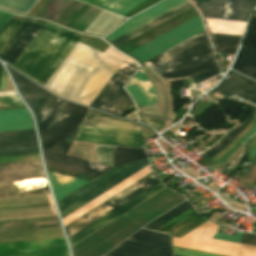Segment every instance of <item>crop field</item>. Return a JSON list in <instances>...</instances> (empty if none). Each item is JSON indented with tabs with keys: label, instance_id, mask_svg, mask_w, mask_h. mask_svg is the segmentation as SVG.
<instances>
[{
	"label": "crop field",
	"instance_id": "obj_9",
	"mask_svg": "<svg viewBox=\"0 0 256 256\" xmlns=\"http://www.w3.org/2000/svg\"><path fill=\"white\" fill-rule=\"evenodd\" d=\"M202 30L201 21L196 17L129 54L143 63Z\"/></svg>",
	"mask_w": 256,
	"mask_h": 256
},
{
	"label": "crop field",
	"instance_id": "obj_17",
	"mask_svg": "<svg viewBox=\"0 0 256 256\" xmlns=\"http://www.w3.org/2000/svg\"><path fill=\"white\" fill-rule=\"evenodd\" d=\"M185 1L187 0H165L145 12L129 19L105 38L111 41Z\"/></svg>",
	"mask_w": 256,
	"mask_h": 256
},
{
	"label": "crop field",
	"instance_id": "obj_20",
	"mask_svg": "<svg viewBox=\"0 0 256 256\" xmlns=\"http://www.w3.org/2000/svg\"><path fill=\"white\" fill-rule=\"evenodd\" d=\"M141 108L152 106L157 99L156 92L147 78L140 69L132 81L126 87Z\"/></svg>",
	"mask_w": 256,
	"mask_h": 256
},
{
	"label": "crop field",
	"instance_id": "obj_5",
	"mask_svg": "<svg viewBox=\"0 0 256 256\" xmlns=\"http://www.w3.org/2000/svg\"><path fill=\"white\" fill-rule=\"evenodd\" d=\"M64 237L61 228L0 233V242ZM0 256H69L64 238L0 243Z\"/></svg>",
	"mask_w": 256,
	"mask_h": 256
},
{
	"label": "crop field",
	"instance_id": "obj_59",
	"mask_svg": "<svg viewBox=\"0 0 256 256\" xmlns=\"http://www.w3.org/2000/svg\"><path fill=\"white\" fill-rule=\"evenodd\" d=\"M233 130H234V129H233ZM233 130H232V131H233ZM225 137H226V136H225ZM225 137H224V138H225ZM219 142H220V141H219Z\"/></svg>",
	"mask_w": 256,
	"mask_h": 256
},
{
	"label": "crop field",
	"instance_id": "obj_2",
	"mask_svg": "<svg viewBox=\"0 0 256 256\" xmlns=\"http://www.w3.org/2000/svg\"><path fill=\"white\" fill-rule=\"evenodd\" d=\"M42 149L66 155L87 108L52 96L39 88L31 106Z\"/></svg>",
	"mask_w": 256,
	"mask_h": 256
},
{
	"label": "crop field",
	"instance_id": "obj_35",
	"mask_svg": "<svg viewBox=\"0 0 256 256\" xmlns=\"http://www.w3.org/2000/svg\"><path fill=\"white\" fill-rule=\"evenodd\" d=\"M204 222L205 220L197 214L179 226H175L176 228L172 229V236L180 238Z\"/></svg>",
	"mask_w": 256,
	"mask_h": 256
},
{
	"label": "crop field",
	"instance_id": "obj_38",
	"mask_svg": "<svg viewBox=\"0 0 256 256\" xmlns=\"http://www.w3.org/2000/svg\"><path fill=\"white\" fill-rule=\"evenodd\" d=\"M96 162L112 166V146L96 144Z\"/></svg>",
	"mask_w": 256,
	"mask_h": 256
},
{
	"label": "crop field",
	"instance_id": "obj_19",
	"mask_svg": "<svg viewBox=\"0 0 256 256\" xmlns=\"http://www.w3.org/2000/svg\"><path fill=\"white\" fill-rule=\"evenodd\" d=\"M82 5L75 0H50L38 16L66 25Z\"/></svg>",
	"mask_w": 256,
	"mask_h": 256
},
{
	"label": "crop field",
	"instance_id": "obj_45",
	"mask_svg": "<svg viewBox=\"0 0 256 256\" xmlns=\"http://www.w3.org/2000/svg\"><path fill=\"white\" fill-rule=\"evenodd\" d=\"M132 237H137V238H142V239H147V240H152V241H157V242H162V243L169 244L168 236L153 233V232H148V231H144V230H141L138 233L132 235Z\"/></svg>",
	"mask_w": 256,
	"mask_h": 256
},
{
	"label": "crop field",
	"instance_id": "obj_12",
	"mask_svg": "<svg viewBox=\"0 0 256 256\" xmlns=\"http://www.w3.org/2000/svg\"><path fill=\"white\" fill-rule=\"evenodd\" d=\"M140 138L136 131L83 126L76 140L141 147Z\"/></svg>",
	"mask_w": 256,
	"mask_h": 256
},
{
	"label": "crop field",
	"instance_id": "obj_40",
	"mask_svg": "<svg viewBox=\"0 0 256 256\" xmlns=\"http://www.w3.org/2000/svg\"><path fill=\"white\" fill-rule=\"evenodd\" d=\"M21 22L10 20L6 27L0 33V50L8 41V39L12 36V34L16 31V29L20 26Z\"/></svg>",
	"mask_w": 256,
	"mask_h": 256
},
{
	"label": "crop field",
	"instance_id": "obj_49",
	"mask_svg": "<svg viewBox=\"0 0 256 256\" xmlns=\"http://www.w3.org/2000/svg\"><path fill=\"white\" fill-rule=\"evenodd\" d=\"M22 104L17 96L11 97H0V106H7V105H18Z\"/></svg>",
	"mask_w": 256,
	"mask_h": 256
},
{
	"label": "crop field",
	"instance_id": "obj_28",
	"mask_svg": "<svg viewBox=\"0 0 256 256\" xmlns=\"http://www.w3.org/2000/svg\"><path fill=\"white\" fill-rule=\"evenodd\" d=\"M43 156L46 159H50V160H54V161H58V162H62V163H66V164H70V165H74V166H78V167H82V168H86V169H90V170H94V171H98V172H106L107 170H109L111 167L110 166H106V165H102V164H98V163H94V162H89V161H85V160H81V159H76V158H72V157H68V156H63V155H59V154H55V153H51V152H47V151H43Z\"/></svg>",
	"mask_w": 256,
	"mask_h": 256
},
{
	"label": "crop field",
	"instance_id": "obj_43",
	"mask_svg": "<svg viewBox=\"0 0 256 256\" xmlns=\"http://www.w3.org/2000/svg\"><path fill=\"white\" fill-rule=\"evenodd\" d=\"M256 132V124L254 125L253 129L233 148L231 149L227 154H225L222 158H220L217 162H215L212 166H210V169H215L216 167H218L219 165L223 164L225 161H227L234 153H236L242 143L251 135H253Z\"/></svg>",
	"mask_w": 256,
	"mask_h": 256
},
{
	"label": "crop field",
	"instance_id": "obj_48",
	"mask_svg": "<svg viewBox=\"0 0 256 256\" xmlns=\"http://www.w3.org/2000/svg\"><path fill=\"white\" fill-rule=\"evenodd\" d=\"M173 251H174V254L181 255V256H218V255L207 254V253L191 251V250L175 248V247H173Z\"/></svg>",
	"mask_w": 256,
	"mask_h": 256
},
{
	"label": "crop field",
	"instance_id": "obj_26",
	"mask_svg": "<svg viewBox=\"0 0 256 256\" xmlns=\"http://www.w3.org/2000/svg\"><path fill=\"white\" fill-rule=\"evenodd\" d=\"M118 118H115L111 115H107L104 113H100L97 111H93L91 110L84 125H88V126H95L98 124H102L111 120H115ZM98 127H108V128H117V129H126V130H136V131H140V128L138 125L129 123L127 121L118 119L115 121H111L102 125H98Z\"/></svg>",
	"mask_w": 256,
	"mask_h": 256
},
{
	"label": "crop field",
	"instance_id": "obj_16",
	"mask_svg": "<svg viewBox=\"0 0 256 256\" xmlns=\"http://www.w3.org/2000/svg\"><path fill=\"white\" fill-rule=\"evenodd\" d=\"M163 188L164 187L160 182L157 183L156 185L152 186L151 188H149L145 192L141 193L140 195H138L134 199L130 200L129 202H127L123 206L119 207L118 209H116L115 211L110 213L109 215L105 216L104 218H102L98 222L94 223L93 225H91L87 229L83 230L82 232H80L76 236L69 239L70 246H73L74 244L78 243L82 239L86 238L87 236H89L93 232H95L98 229H100L101 227L105 226L106 224H108L112 220H114L117 217H119L120 215L124 214L125 212H127L131 208L135 207L139 203L143 202L144 200H146L150 196L154 195L158 191L162 190Z\"/></svg>",
	"mask_w": 256,
	"mask_h": 256
},
{
	"label": "crop field",
	"instance_id": "obj_61",
	"mask_svg": "<svg viewBox=\"0 0 256 256\" xmlns=\"http://www.w3.org/2000/svg\"><path fill=\"white\" fill-rule=\"evenodd\" d=\"M174 256H176V255H174Z\"/></svg>",
	"mask_w": 256,
	"mask_h": 256
},
{
	"label": "crop field",
	"instance_id": "obj_7",
	"mask_svg": "<svg viewBox=\"0 0 256 256\" xmlns=\"http://www.w3.org/2000/svg\"><path fill=\"white\" fill-rule=\"evenodd\" d=\"M218 226L205 222L180 239L173 238V245L227 256H256V247L211 239Z\"/></svg>",
	"mask_w": 256,
	"mask_h": 256
},
{
	"label": "crop field",
	"instance_id": "obj_53",
	"mask_svg": "<svg viewBox=\"0 0 256 256\" xmlns=\"http://www.w3.org/2000/svg\"><path fill=\"white\" fill-rule=\"evenodd\" d=\"M209 93H211V94H213V95H215V96H217L221 99L233 96V95H231V94H229V93H227V92H225V91H223V90H221L217 87L214 90L210 91Z\"/></svg>",
	"mask_w": 256,
	"mask_h": 256
},
{
	"label": "crop field",
	"instance_id": "obj_47",
	"mask_svg": "<svg viewBox=\"0 0 256 256\" xmlns=\"http://www.w3.org/2000/svg\"><path fill=\"white\" fill-rule=\"evenodd\" d=\"M218 74V70H217V66L209 69L208 71L200 74L199 76L195 77L194 80L196 82V84H199L200 82L214 76V75H217ZM191 82L193 84V86H195V83L193 81V79H191Z\"/></svg>",
	"mask_w": 256,
	"mask_h": 256
},
{
	"label": "crop field",
	"instance_id": "obj_42",
	"mask_svg": "<svg viewBox=\"0 0 256 256\" xmlns=\"http://www.w3.org/2000/svg\"><path fill=\"white\" fill-rule=\"evenodd\" d=\"M45 164L48 166H52V167H56V168H60L68 171H73V172H77V173H81V174H85L93 177H97L101 175V173H97V172H93V171H89V170H85V169H81V168H77V167H73V166H69V165H65V164H61V163H57L49 160H45Z\"/></svg>",
	"mask_w": 256,
	"mask_h": 256
},
{
	"label": "crop field",
	"instance_id": "obj_51",
	"mask_svg": "<svg viewBox=\"0 0 256 256\" xmlns=\"http://www.w3.org/2000/svg\"><path fill=\"white\" fill-rule=\"evenodd\" d=\"M241 234H242L241 232H237L236 236L232 237V236L224 235L217 232L213 238L237 243Z\"/></svg>",
	"mask_w": 256,
	"mask_h": 256
},
{
	"label": "crop field",
	"instance_id": "obj_52",
	"mask_svg": "<svg viewBox=\"0 0 256 256\" xmlns=\"http://www.w3.org/2000/svg\"><path fill=\"white\" fill-rule=\"evenodd\" d=\"M13 14L5 13L0 11V31L5 26L10 18H12Z\"/></svg>",
	"mask_w": 256,
	"mask_h": 256
},
{
	"label": "crop field",
	"instance_id": "obj_32",
	"mask_svg": "<svg viewBox=\"0 0 256 256\" xmlns=\"http://www.w3.org/2000/svg\"><path fill=\"white\" fill-rule=\"evenodd\" d=\"M219 53L234 54L241 36L211 33Z\"/></svg>",
	"mask_w": 256,
	"mask_h": 256
},
{
	"label": "crop field",
	"instance_id": "obj_27",
	"mask_svg": "<svg viewBox=\"0 0 256 256\" xmlns=\"http://www.w3.org/2000/svg\"><path fill=\"white\" fill-rule=\"evenodd\" d=\"M104 10L125 15L144 0H79Z\"/></svg>",
	"mask_w": 256,
	"mask_h": 256
},
{
	"label": "crop field",
	"instance_id": "obj_21",
	"mask_svg": "<svg viewBox=\"0 0 256 256\" xmlns=\"http://www.w3.org/2000/svg\"><path fill=\"white\" fill-rule=\"evenodd\" d=\"M190 7H192V6L187 1V2L173 8L172 10L158 16L157 18L141 25L140 27L126 33L125 35H123V36H121V37H119V38H117V39H115L111 42H113V43H115L116 45L119 46V45L131 40L132 38L142 34L143 32L155 27L156 25L168 20L169 18L179 14L180 12H182V11H184V10L190 8Z\"/></svg>",
	"mask_w": 256,
	"mask_h": 256
},
{
	"label": "crop field",
	"instance_id": "obj_50",
	"mask_svg": "<svg viewBox=\"0 0 256 256\" xmlns=\"http://www.w3.org/2000/svg\"><path fill=\"white\" fill-rule=\"evenodd\" d=\"M238 243L256 246V235H250V234L243 233Z\"/></svg>",
	"mask_w": 256,
	"mask_h": 256
},
{
	"label": "crop field",
	"instance_id": "obj_36",
	"mask_svg": "<svg viewBox=\"0 0 256 256\" xmlns=\"http://www.w3.org/2000/svg\"><path fill=\"white\" fill-rule=\"evenodd\" d=\"M37 0H0V7L27 13Z\"/></svg>",
	"mask_w": 256,
	"mask_h": 256
},
{
	"label": "crop field",
	"instance_id": "obj_3",
	"mask_svg": "<svg viewBox=\"0 0 256 256\" xmlns=\"http://www.w3.org/2000/svg\"><path fill=\"white\" fill-rule=\"evenodd\" d=\"M81 36L47 22L12 67L43 86Z\"/></svg>",
	"mask_w": 256,
	"mask_h": 256
},
{
	"label": "crop field",
	"instance_id": "obj_4",
	"mask_svg": "<svg viewBox=\"0 0 256 256\" xmlns=\"http://www.w3.org/2000/svg\"><path fill=\"white\" fill-rule=\"evenodd\" d=\"M143 65L174 82L190 79L217 63L202 32Z\"/></svg>",
	"mask_w": 256,
	"mask_h": 256
},
{
	"label": "crop field",
	"instance_id": "obj_29",
	"mask_svg": "<svg viewBox=\"0 0 256 256\" xmlns=\"http://www.w3.org/2000/svg\"><path fill=\"white\" fill-rule=\"evenodd\" d=\"M99 11L100 9L84 4L76 15L69 21L67 26L76 30L84 31Z\"/></svg>",
	"mask_w": 256,
	"mask_h": 256
},
{
	"label": "crop field",
	"instance_id": "obj_46",
	"mask_svg": "<svg viewBox=\"0 0 256 256\" xmlns=\"http://www.w3.org/2000/svg\"><path fill=\"white\" fill-rule=\"evenodd\" d=\"M35 160H41L39 154L0 157V163H12V162H23V161H35Z\"/></svg>",
	"mask_w": 256,
	"mask_h": 256
},
{
	"label": "crop field",
	"instance_id": "obj_8",
	"mask_svg": "<svg viewBox=\"0 0 256 256\" xmlns=\"http://www.w3.org/2000/svg\"><path fill=\"white\" fill-rule=\"evenodd\" d=\"M159 182L154 174H150L144 179L140 180L136 184L132 185L128 189L124 190L123 192L119 193L115 197L111 198L107 202L103 203L99 207L95 208L94 210L90 211L86 215L82 216L78 220L74 221L70 225L66 226V232L68 238L72 237L73 235L77 234L81 230L85 229L92 223L96 222L103 216L107 215L111 211L115 210L122 204L126 203L133 197L137 196L141 192L145 191L152 185Z\"/></svg>",
	"mask_w": 256,
	"mask_h": 256
},
{
	"label": "crop field",
	"instance_id": "obj_55",
	"mask_svg": "<svg viewBox=\"0 0 256 256\" xmlns=\"http://www.w3.org/2000/svg\"><path fill=\"white\" fill-rule=\"evenodd\" d=\"M256 145V136L246 145L247 153Z\"/></svg>",
	"mask_w": 256,
	"mask_h": 256
},
{
	"label": "crop field",
	"instance_id": "obj_31",
	"mask_svg": "<svg viewBox=\"0 0 256 256\" xmlns=\"http://www.w3.org/2000/svg\"><path fill=\"white\" fill-rule=\"evenodd\" d=\"M114 166L145 158L143 149L113 146Z\"/></svg>",
	"mask_w": 256,
	"mask_h": 256
},
{
	"label": "crop field",
	"instance_id": "obj_23",
	"mask_svg": "<svg viewBox=\"0 0 256 256\" xmlns=\"http://www.w3.org/2000/svg\"><path fill=\"white\" fill-rule=\"evenodd\" d=\"M32 128L25 109L0 111V131Z\"/></svg>",
	"mask_w": 256,
	"mask_h": 256
},
{
	"label": "crop field",
	"instance_id": "obj_56",
	"mask_svg": "<svg viewBox=\"0 0 256 256\" xmlns=\"http://www.w3.org/2000/svg\"><path fill=\"white\" fill-rule=\"evenodd\" d=\"M16 95L15 91L0 92V96H11Z\"/></svg>",
	"mask_w": 256,
	"mask_h": 256
},
{
	"label": "crop field",
	"instance_id": "obj_30",
	"mask_svg": "<svg viewBox=\"0 0 256 256\" xmlns=\"http://www.w3.org/2000/svg\"><path fill=\"white\" fill-rule=\"evenodd\" d=\"M7 68L10 71L22 98L24 99V101L26 102V104L29 107L33 98H34V96H35V94H36V92H37V90H38V88H39V86L32 83L31 81H29L25 77L15 73L9 67H7Z\"/></svg>",
	"mask_w": 256,
	"mask_h": 256
},
{
	"label": "crop field",
	"instance_id": "obj_11",
	"mask_svg": "<svg viewBox=\"0 0 256 256\" xmlns=\"http://www.w3.org/2000/svg\"><path fill=\"white\" fill-rule=\"evenodd\" d=\"M209 1V0H195ZM197 2L204 18L247 22L256 0H210Z\"/></svg>",
	"mask_w": 256,
	"mask_h": 256
},
{
	"label": "crop field",
	"instance_id": "obj_54",
	"mask_svg": "<svg viewBox=\"0 0 256 256\" xmlns=\"http://www.w3.org/2000/svg\"><path fill=\"white\" fill-rule=\"evenodd\" d=\"M6 78H7V74L4 71V69H2V74H1V79H0V91L4 90V88H5Z\"/></svg>",
	"mask_w": 256,
	"mask_h": 256
},
{
	"label": "crop field",
	"instance_id": "obj_60",
	"mask_svg": "<svg viewBox=\"0 0 256 256\" xmlns=\"http://www.w3.org/2000/svg\"><path fill=\"white\" fill-rule=\"evenodd\" d=\"M254 158H256V156Z\"/></svg>",
	"mask_w": 256,
	"mask_h": 256
},
{
	"label": "crop field",
	"instance_id": "obj_41",
	"mask_svg": "<svg viewBox=\"0 0 256 256\" xmlns=\"http://www.w3.org/2000/svg\"><path fill=\"white\" fill-rule=\"evenodd\" d=\"M194 213H196V212L191 207L188 210H186L183 213H181L180 215H178L175 218H173L172 220H170L169 222L165 223L161 227L157 228L156 231L165 232V231L169 230L170 228H172L173 226H175L178 223H180L181 221L185 220L189 216L193 215Z\"/></svg>",
	"mask_w": 256,
	"mask_h": 256
},
{
	"label": "crop field",
	"instance_id": "obj_15",
	"mask_svg": "<svg viewBox=\"0 0 256 256\" xmlns=\"http://www.w3.org/2000/svg\"><path fill=\"white\" fill-rule=\"evenodd\" d=\"M137 68L138 65L127 58L90 107L104 111Z\"/></svg>",
	"mask_w": 256,
	"mask_h": 256
},
{
	"label": "crop field",
	"instance_id": "obj_18",
	"mask_svg": "<svg viewBox=\"0 0 256 256\" xmlns=\"http://www.w3.org/2000/svg\"><path fill=\"white\" fill-rule=\"evenodd\" d=\"M218 87L256 104V82L232 70Z\"/></svg>",
	"mask_w": 256,
	"mask_h": 256
},
{
	"label": "crop field",
	"instance_id": "obj_6",
	"mask_svg": "<svg viewBox=\"0 0 256 256\" xmlns=\"http://www.w3.org/2000/svg\"><path fill=\"white\" fill-rule=\"evenodd\" d=\"M146 165H148V163L145 159L115 167L106 172L91 183L57 203L61 218L69 215Z\"/></svg>",
	"mask_w": 256,
	"mask_h": 256
},
{
	"label": "crop field",
	"instance_id": "obj_37",
	"mask_svg": "<svg viewBox=\"0 0 256 256\" xmlns=\"http://www.w3.org/2000/svg\"><path fill=\"white\" fill-rule=\"evenodd\" d=\"M189 207H191V206L186 201L185 203L181 204L180 206H178L177 208H175L172 211L168 212L167 214H165V215L163 214L164 216L160 217L159 219H157V220L155 219L156 221L152 222L151 224L147 225L144 228L154 230L157 227H159L162 224H164L165 222H167L170 219H172L173 217H175L176 215L180 214L184 210L188 209Z\"/></svg>",
	"mask_w": 256,
	"mask_h": 256
},
{
	"label": "crop field",
	"instance_id": "obj_10",
	"mask_svg": "<svg viewBox=\"0 0 256 256\" xmlns=\"http://www.w3.org/2000/svg\"><path fill=\"white\" fill-rule=\"evenodd\" d=\"M32 179H45L40 161L0 165V197L50 193L49 190H35L28 194H13L12 183Z\"/></svg>",
	"mask_w": 256,
	"mask_h": 256
},
{
	"label": "crop field",
	"instance_id": "obj_25",
	"mask_svg": "<svg viewBox=\"0 0 256 256\" xmlns=\"http://www.w3.org/2000/svg\"><path fill=\"white\" fill-rule=\"evenodd\" d=\"M232 69L256 80V48L241 47Z\"/></svg>",
	"mask_w": 256,
	"mask_h": 256
},
{
	"label": "crop field",
	"instance_id": "obj_13",
	"mask_svg": "<svg viewBox=\"0 0 256 256\" xmlns=\"http://www.w3.org/2000/svg\"><path fill=\"white\" fill-rule=\"evenodd\" d=\"M105 256H172L167 244L129 237Z\"/></svg>",
	"mask_w": 256,
	"mask_h": 256
},
{
	"label": "crop field",
	"instance_id": "obj_14",
	"mask_svg": "<svg viewBox=\"0 0 256 256\" xmlns=\"http://www.w3.org/2000/svg\"><path fill=\"white\" fill-rule=\"evenodd\" d=\"M28 20L42 24V25L46 23V21H43V20L27 18L26 21L19 28V30L12 37V39L9 41L7 45L9 46L11 45L14 39L25 27ZM30 21L28 22L26 27L23 29V31L19 34V36L15 39V41L12 43V45L10 47L6 45L5 48L0 52V58L7 61L11 66L42 28V25L30 22Z\"/></svg>",
	"mask_w": 256,
	"mask_h": 256
},
{
	"label": "crop field",
	"instance_id": "obj_34",
	"mask_svg": "<svg viewBox=\"0 0 256 256\" xmlns=\"http://www.w3.org/2000/svg\"><path fill=\"white\" fill-rule=\"evenodd\" d=\"M254 110H255V106L253 107L251 114L245 123H243L241 126L237 127L225 139H223L220 143L218 142L211 150H209L206 153V156L208 159L211 158L212 156H214L215 154H217L220 150H222L231 140H233L238 134H240L245 129L246 125L248 124V122L250 121V119L254 113Z\"/></svg>",
	"mask_w": 256,
	"mask_h": 256
},
{
	"label": "crop field",
	"instance_id": "obj_39",
	"mask_svg": "<svg viewBox=\"0 0 256 256\" xmlns=\"http://www.w3.org/2000/svg\"><path fill=\"white\" fill-rule=\"evenodd\" d=\"M255 120H256V111L253 115V118H252L250 124L247 126V128L234 141H232L229 145H227V147L224 150H222L220 153H218L217 155H215L214 157H212L209 160L214 163L221 156H223L225 153H227L231 148H233L249 132V130L254 125Z\"/></svg>",
	"mask_w": 256,
	"mask_h": 256
},
{
	"label": "crop field",
	"instance_id": "obj_33",
	"mask_svg": "<svg viewBox=\"0 0 256 256\" xmlns=\"http://www.w3.org/2000/svg\"><path fill=\"white\" fill-rule=\"evenodd\" d=\"M131 103L132 101L129 98L128 94L122 88L105 111L122 116Z\"/></svg>",
	"mask_w": 256,
	"mask_h": 256
},
{
	"label": "crop field",
	"instance_id": "obj_58",
	"mask_svg": "<svg viewBox=\"0 0 256 256\" xmlns=\"http://www.w3.org/2000/svg\"><path fill=\"white\" fill-rule=\"evenodd\" d=\"M1 69H2V66L0 65V74H1Z\"/></svg>",
	"mask_w": 256,
	"mask_h": 256
},
{
	"label": "crop field",
	"instance_id": "obj_44",
	"mask_svg": "<svg viewBox=\"0 0 256 256\" xmlns=\"http://www.w3.org/2000/svg\"><path fill=\"white\" fill-rule=\"evenodd\" d=\"M39 153L38 146L0 149V156L22 155Z\"/></svg>",
	"mask_w": 256,
	"mask_h": 256
},
{
	"label": "crop field",
	"instance_id": "obj_22",
	"mask_svg": "<svg viewBox=\"0 0 256 256\" xmlns=\"http://www.w3.org/2000/svg\"><path fill=\"white\" fill-rule=\"evenodd\" d=\"M37 145L34 129L0 132V148Z\"/></svg>",
	"mask_w": 256,
	"mask_h": 256
},
{
	"label": "crop field",
	"instance_id": "obj_24",
	"mask_svg": "<svg viewBox=\"0 0 256 256\" xmlns=\"http://www.w3.org/2000/svg\"><path fill=\"white\" fill-rule=\"evenodd\" d=\"M48 176L56 197V201H59L60 199L64 198L71 192L75 191L76 189L87 183V181L78 180L66 176L62 177L61 175L52 172H48Z\"/></svg>",
	"mask_w": 256,
	"mask_h": 256
},
{
	"label": "crop field",
	"instance_id": "obj_57",
	"mask_svg": "<svg viewBox=\"0 0 256 256\" xmlns=\"http://www.w3.org/2000/svg\"><path fill=\"white\" fill-rule=\"evenodd\" d=\"M249 154L254 157L256 155V147Z\"/></svg>",
	"mask_w": 256,
	"mask_h": 256
},
{
	"label": "crop field",
	"instance_id": "obj_1",
	"mask_svg": "<svg viewBox=\"0 0 256 256\" xmlns=\"http://www.w3.org/2000/svg\"><path fill=\"white\" fill-rule=\"evenodd\" d=\"M126 58L110 46L102 53L78 42L44 87L89 106Z\"/></svg>",
	"mask_w": 256,
	"mask_h": 256
}]
</instances>
